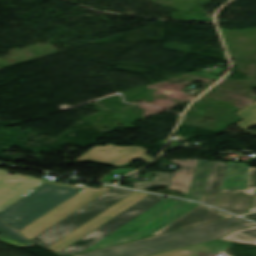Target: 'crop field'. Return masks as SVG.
I'll return each mask as SVG.
<instances>
[{
  "mask_svg": "<svg viewBox=\"0 0 256 256\" xmlns=\"http://www.w3.org/2000/svg\"><path fill=\"white\" fill-rule=\"evenodd\" d=\"M197 246L199 248L203 249L204 251H206L207 253L211 254L212 256H215L203 244L197 245ZM152 256H195V255H193L192 253H190L186 249L182 248V249H178V250H174V251H170V252H164V253H160V254H156V255H152Z\"/></svg>",
  "mask_w": 256,
  "mask_h": 256,
  "instance_id": "bc2a9ffb",
  "label": "crop field"
},
{
  "mask_svg": "<svg viewBox=\"0 0 256 256\" xmlns=\"http://www.w3.org/2000/svg\"><path fill=\"white\" fill-rule=\"evenodd\" d=\"M109 188L108 186L99 189L88 187L20 232L31 240Z\"/></svg>",
  "mask_w": 256,
  "mask_h": 256,
  "instance_id": "e52e79f7",
  "label": "crop field"
},
{
  "mask_svg": "<svg viewBox=\"0 0 256 256\" xmlns=\"http://www.w3.org/2000/svg\"><path fill=\"white\" fill-rule=\"evenodd\" d=\"M251 225L255 224L234 217L75 256H145L214 240L235 229Z\"/></svg>",
  "mask_w": 256,
  "mask_h": 256,
  "instance_id": "ac0d7876",
  "label": "crop field"
},
{
  "mask_svg": "<svg viewBox=\"0 0 256 256\" xmlns=\"http://www.w3.org/2000/svg\"><path fill=\"white\" fill-rule=\"evenodd\" d=\"M173 173H151L149 176L154 175L156 180L150 182H135L131 179H128L125 182H129L133 188L145 190L146 188L157 184L168 185Z\"/></svg>",
  "mask_w": 256,
  "mask_h": 256,
  "instance_id": "733c2abd",
  "label": "crop field"
},
{
  "mask_svg": "<svg viewBox=\"0 0 256 256\" xmlns=\"http://www.w3.org/2000/svg\"><path fill=\"white\" fill-rule=\"evenodd\" d=\"M247 168L243 163L230 162L222 189H244Z\"/></svg>",
  "mask_w": 256,
  "mask_h": 256,
  "instance_id": "22f410ed",
  "label": "crop field"
},
{
  "mask_svg": "<svg viewBox=\"0 0 256 256\" xmlns=\"http://www.w3.org/2000/svg\"><path fill=\"white\" fill-rule=\"evenodd\" d=\"M0 241L17 248L33 245L29 240L23 238L10 227L0 221Z\"/></svg>",
  "mask_w": 256,
  "mask_h": 256,
  "instance_id": "5142ce71",
  "label": "crop field"
},
{
  "mask_svg": "<svg viewBox=\"0 0 256 256\" xmlns=\"http://www.w3.org/2000/svg\"><path fill=\"white\" fill-rule=\"evenodd\" d=\"M221 239L256 245V227L234 231Z\"/></svg>",
  "mask_w": 256,
  "mask_h": 256,
  "instance_id": "d9b57169",
  "label": "crop field"
},
{
  "mask_svg": "<svg viewBox=\"0 0 256 256\" xmlns=\"http://www.w3.org/2000/svg\"><path fill=\"white\" fill-rule=\"evenodd\" d=\"M132 192L134 191L112 187L31 241L45 249Z\"/></svg>",
  "mask_w": 256,
  "mask_h": 256,
  "instance_id": "412701ff",
  "label": "crop field"
},
{
  "mask_svg": "<svg viewBox=\"0 0 256 256\" xmlns=\"http://www.w3.org/2000/svg\"><path fill=\"white\" fill-rule=\"evenodd\" d=\"M6 172L0 170V218L18 231L86 188Z\"/></svg>",
  "mask_w": 256,
  "mask_h": 256,
  "instance_id": "8a807250",
  "label": "crop field"
},
{
  "mask_svg": "<svg viewBox=\"0 0 256 256\" xmlns=\"http://www.w3.org/2000/svg\"><path fill=\"white\" fill-rule=\"evenodd\" d=\"M245 217L250 218V219L256 221V213L255 214H251V215H247Z\"/></svg>",
  "mask_w": 256,
  "mask_h": 256,
  "instance_id": "214f88e0",
  "label": "crop field"
},
{
  "mask_svg": "<svg viewBox=\"0 0 256 256\" xmlns=\"http://www.w3.org/2000/svg\"><path fill=\"white\" fill-rule=\"evenodd\" d=\"M102 149L104 151L101 152ZM119 150L121 152L118 153ZM146 152L147 150L138 147H119L109 144L106 147L95 146L75 161H88L115 167L128 166L135 158L150 163L154 159L146 156ZM110 157L112 159H109Z\"/></svg>",
  "mask_w": 256,
  "mask_h": 256,
  "instance_id": "d8731c3e",
  "label": "crop field"
},
{
  "mask_svg": "<svg viewBox=\"0 0 256 256\" xmlns=\"http://www.w3.org/2000/svg\"><path fill=\"white\" fill-rule=\"evenodd\" d=\"M229 217H233V216L220 212L212 207H208L200 204L153 235H157V234H161V233H165V232H169V231H173V230H177L185 227H190L198 224H203L211 221L225 219Z\"/></svg>",
  "mask_w": 256,
  "mask_h": 256,
  "instance_id": "3316defc",
  "label": "crop field"
},
{
  "mask_svg": "<svg viewBox=\"0 0 256 256\" xmlns=\"http://www.w3.org/2000/svg\"><path fill=\"white\" fill-rule=\"evenodd\" d=\"M236 115L245 119L237 124L240 129L246 131L256 126V103L236 112Z\"/></svg>",
  "mask_w": 256,
  "mask_h": 256,
  "instance_id": "4a817a6b",
  "label": "crop field"
},
{
  "mask_svg": "<svg viewBox=\"0 0 256 256\" xmlns=\"http://www.w3.org/2000/svg\"><path fill=\"white\" fill-rule=\"evenodd\" d=\"M150 194L147 193H141V192H134L130 194L129 196L123 198L119 202L115 203L102 213L98 214L88 222H86L84 225L70 233L69 235L65 236L61 240L57 241L53 245L49 246L46 250L52 251V252H59L65 247L69 246L73 242L77 241L78 239L82 238L86 234L90 233L91 231L95 230L123 210L127 209L137 201L143 199L144 197L148 196Z\"/></svg>",
  "mask_w": 256,
  "mask_h": 256,
  "instance_id": "dd49c442",
  "label": "crop field"
},
{
  "mask_svg": "<svg viewBox=\"0 0 256 256\" xmlns=\"http://www.w3.org/2000/svg\"><path fill=\"white\" fill-rule=\"evenodd\" d=\"M197 205L165 199L85 251L148 237Z\"/></svg>",
  "mask_w": 256,
  "mask_h": 256,
  "instance_id": "34b2d1b8",
  "label": "crop field"
},
{
  "mask_svg": "<svg viewBox=\"0 0 256 256\" xmlns=\"http://www.w3.org/2000/svg\"><path fill=\"white\" fill-rule=\"evenodd\" d=\"M255 210H256V197H255V199H254L253 206H252V208L250 209L249 212L255 211Z\"/></svg>",
  "mask_w": 256,
  "mask_h": 256,
  "instance_id": "92a150f3",
  "label": "crop field"
},
{
  "mask_svg": "<svg viewBox=\"0 0 256 256\" xmlns=\"http://www.w3.org/2000/svg\"><path fill=\"white\" fill-rule=\"evenodd\" d=\"M250 189H256L255 167H249L246 189L222 190L217 206L238 214L247 212L254 193Z\"/></svg>",
  "mask_w": 256,
  "mask_h": 256,
  "instance_id": "5a996713",
  "label": "crop field"
},
{
  "mask_svg": "<svg viewBox=\"0 0 256 256\" xmlns=\"http://www.w3.org/2000/svg\"><path fill=\"white\" fill-rule=\"evenodd\" d=\"M211 165V161L200 160V164L194 182L192 184L190 193L186 195V198L198 201L200 200L211 169ZM204 173H206L207 175L205 176Z\"/></svg>",
  "mask_w": 256,
  "mask_h": 256,
  "instance_id": "cbeb9de0",
  "label": "crop field"
},
{
  "mask_svg": "<svg viewBox=\"0 0 256 256\" xmlns=\"http://www.w3.org/2000/svg\"><path fill=\"white\" fill-rule=\"evenodd\" d=\"M227 166L228 164L223 162H213L212 169L200 201L216 206ZM206 193H211V196L207 198Z\"/></svg>",
  "mask_w": 256,
  "mask_h": 256,
  "instance_id": "d1516ede",
  "label": "crop field"
},
{
  "mask_svg": "<svg viewBox=\"0 0 256 256\" xmlns=\"http://www.w3.org/2000/svg\"><path fill=\"white\" fill-rule=\"evenodd\" d=\"M172 162L180 166L181 169L175 171L168 189L177 190L187 194L199 160H173ZM188 172H192V174H189Z\"/></svg>",
  "mask_w": 256,
  "mask_h": 256,
  "instance_id": "28ad6ade",
  "label": "crop field"
},
{
  "mask_svg": "<svg viewBox=\"0 0 256 256\" xmlns=\"http://www.w3.org/2000/svg\"><path fill=\"white\" fill-rule=\"evenodd\" d=\"M163 199L164 198L155 195L144 198L58 254L69 256L84 251Z\"/></svg>",
  "mask_w": 256,
  "mask_h": 256,
  "instance_id": "f4fd0767",
  "label": "crop field"
}]
</instances>
